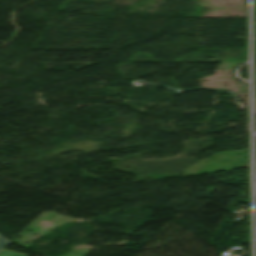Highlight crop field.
<instances>
[{
    "instance_id": "8a807250",
    "label": "crop field",
    "mask_w": 256,
    "mask_h": 256,
    "mask_svg": "<svg viewBox=\"0 0 256 256\" xmlns=\"http://www.w3.org/2000/svg\"><path fill=\"white\" fill-rule=\"evenodd\" d=\"M0 256H27V255H23V254H19V253H16V252H12V251L2 249L0 251Z\"/></svg>"
},
{
    "instance_id": "ac0d7876",
    "label": "crop field",
    "mask_w": 256,
    "mask_h": 256,
    "mask_svg": "<svg viewBox=\"0 0 256 256\" xmlns=\"http://www.w3.org/2000/svg\"><path fill=\"white\" fill-rule=\"evenodd\" d=\"M11 241L7 240L6 238L2 237L0 235V250L4 248L7 244H9Z\"/></svg>"
}]
</instances>
